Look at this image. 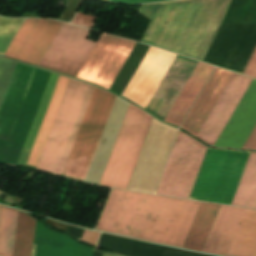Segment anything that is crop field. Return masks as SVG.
Listing matches in <instances>:
<instances>
[{
	"mask_svg": "<svg viewBox=\"0 0 256 256\" xmlns=\"http://www.w3.org/2000/svg\"><path fill=\"white\" fill-rule=\"evenodd\" d=\"M199 203L112 189L96 229L182 247Z\"/></svg>",
	"mask_w": 256,
	"mask_h": 256,
	"instance_id": "8a807250",
	"label": "crop field"
},
{
	"mask_svg": "<svg viewBox=\"0 0 256 256\" xmlns=\"http://www.w3.org/2000/svg\"><path fill=\"white\" fill-rule=\"evenodd\" d=\"M19 211L0 206V255L11 256ZM36 220L19 214L12 256H30ZM32 254L34 256H92L93 250L51 231L37 221Z\"/></svg>",
	"mask_w": 256,
	"mask_h": 256,
	"instance_id": "ac0d7876",
	"label": "crop field"
},
{
	"mask_svg": "<svg viewBox=\"0 0 256 256\" xmlns=\"http://www.w3.org/2000/svg\"><path fill=\"white\" fill-rule=\"evenodd\" d=\"M256 46V0H232L204 62L243 73Z\"/></svg>",
	"mask_w": 256,
	"mask_h": 256,
	"instance_id": "34b2d1b8",
	"label": "crop field"
},
{
	"mask_svg": "<svg viewBox=\"0 0 256 256\" xmlns=\"http://www.w3.org/2000/svg\"><path fill=\"white\" fill-rule=\"evenodd\" d=\"M93 88L69 80L36 169L62 174Z\"/></svg>",
	"mask_w": 256,
	"mask_h": 256,
	"instance_id": "412701ff",
	"label": "crop field"
},
{
	"mask_svg": "<svg viewBox=\"0 0 256 256\" xmlns=\"http://www.w3.org/2000/svg\"><path fill=\"white\" fill-rule=\"evenodd\" d=\"M249 154L207 149L188 198L230 205Z\"/></svg>",
	"mask_w": 256,
	"mask_h": 256,
	"instance_id": "f4fd0767",
	"label": "crop field"
},
{
	"mask_svg": "<svg viewBox=\"0 0 256 256\" xmlns=\"http://www.w3.org/2000/svg\"><path fill=\"white\" fill-rule=\"evenodd\" d=\"M152 119L129 105L99 184L127 188Z\"/></svg>",
	"mask_w": 256,
	"mask_h": 256,
	"instance_id": "dd49c442",
	"label": "crop field"
},
{
	"mask_svg": "<svg viewBox=\"0 0 256 256\" xmlns=\"http://www.w3.org/2000/svg\"><path fill=\"white\" fill-rule=\"evenodd\" d=\"M115 97L102 89L94 88L63 176L84 180Z\"/></svg>",
	"mask_w": 256,
	"mask_h": 256,
	"instance_id": "e52e79f7",
	"label": "crop field"
},
{
	"mask_svg": "<svg viewBox=\"0 0 256 256\" xmlns=\"http://www.w3.org/2000/svg\"><path fill=\"white\" fill-rule=\"evenodd\" d=\"M206 149L179 131L155 193L187 198Z\"/></svg>",
	"mask_w": 256,
	"mask_h": 256,
	"instance_id": "d8731c3e",
	"label": "crop field"
},
{
	"mask_svg": "<svg viewBox=\"0 0 256 256\" xmlns=\"http://www.w3.org/2000/svg\"><path fill=\"white\" fill-rule=\"evenodd\" d=\"M90 30L63 23L39 66L76 77L95 42L85 40Z\"/></svg>",
	"mask_w": 256,
	"mask_h": 256,
	"instance_id": "5a996713",
	"label": "crop field"
},
{
	"mask_svg": "<svg viewBox=\"0 0 256 256\" xmlns=\"http://www.w3.org/2000/svg\"><path fill=\"white\" fill-rule=\"evenodd\" d=\"M135 42L102 33L77 78L109 89Z\"/></svg>",
	"mask_w": 256,
	"mask_h": 256,
	"instance_id": "3316defc",
	"label": "crop field"
},
{
	"mask_svg": "<svg viewBox=\"0 0 256 256\" xmlns=\"http://www.w3.org/2000/svg\"><path fill=\"white\" fill-rule=\"evenodd\" d=\"M59 75L50 74L47 85L45 87L44 93L42 95L41 101L39 103L38 109L36 111L35 117L33 119L32 125L30 127L29 133L27 135L26 141L24 143L23 149L21 151L20 157L17 163L25 164L30 153L31 147L33 145L34 139L36 137L37 131L39 129L40 123L44 116L45 110L47 108L48 102L50 100L51 94L53 92L54 86L56 84ZM68 78L59 76L57 84L55 86L54 92L52 94L51 100L49 102L48 108L46 110L45 116L41 123L40 129L38 131L37 137L35 139L34 145L32 147L31 153L29 155L27 165L35 166L38 163L39 157L41 155L42 149L44 147L45 141L47 139L48 133L50 131L51 125L53 123L54 117L56 115L57 109L59 107L60 101L62 99L63 93L65 91L66 85L68 83Z\"/></svg>",
	"mask_w": 256,
	"mask_h": 256,
	"instance_id": "28ad6ade",
	"label": "crop field"
},
{
	"mask_svg": "<svg viewBox=\"0 0 256 256\" xmlns=\"http://www.w3.org/2000/svg\"><path fill=\"white\" fill-rule=\"evenodd\" d=\"M61 25L52 20L25 19L5 56L38 65Z\"/></svg>",
	"mask_w": 256,
	"mask_h": 256,
	"instance_id": "d1516ede",
	"label": "crop field"
},
{
	"mask_svg": "<svg viewBox=\"0 0 256 256\" xmlns=\"http://www.w3.org/2000/svg\"><path fill=\"white\" fill-rule=\"evenodd\" d=\"M250 81L233 73L196 137L213 146Z\"/></svg>",
	"mask_w": 256,
	"mask_h": 256,
	"instance_id": "22f410ed",
	"label": "crop field"
},
{
	"mask_svg": "<svg viewBox=\"0 0 256 256\" xmlns=\"http://www.w3.org/2000/svg\"><path fill=\"white\" fill-rule=\"evenodd\" d=\"M256 125V80L252 79L214 146L242 148Z\"/></svg>",
	"mask_w": 256,
	"mask_h": 256,
	"instance_id": "cbeb9de0",
	"label": "crop field"
},
{
	"mask_svg": "<svg viewBox=\"0 0 256 256\" xmlns=\"http://www.w3.org/2000/svg\"><path fill=\"white\" fill-rule=\"evenodd\" d=\"M231 75L232 72L215 68L181 128L196 136Z\"/></svg>",
	"mask_w": 256,
	"mask_h": 256,
	"instance_id": "5142ce71",
	"label": "crop field"
},
{
	"mask_svg": "<svg viewBox=\"0 0 256 256\" xmlns=\"http://www.w3.org/2000/svg\"><path fill=\"white\" fill-rule=\"evenodd\" d=\"M244 210L221 205L202 251L226 255Z\"/></svg>",
	"mask_w": 256,
	"mask_h": 256,
	"instance_id": "d9b57169",
	"label": "crop field"
},
{
	"mask_svg": "<svg viewBox=\"0 0 256 256\" xmlns=\"http://www.w3.org/2000/svg\"><path fill=\"white\" fill-rule=\"evenodd\" d=\"M131 256H206L102 233L98 247Z\"/></svg>",
	"mask_w": 256,
	"mask_h": 256,
	"instance_id": "733c2abd",
	"label": "crop field"
},
{
	"mask_svg": "<svg viewBox=\"0 0 256 256\" xmlns=\"http://www.w3.org/2000/svg\"><path fill=\"white\" fill-rule=\"evenodd\" d=\"M213 68V66L198 62L190 78L166 116L165 121L177 126L180 125Z\"/></svg>",
	"mask_w": 256,
	"mask_h": 256,
	"instance_id": "4a817a6b",
	"label": "crop field"
},
{
	"mask_svg": "<svg viewBox=\"0 0 256 256\" xmlns=\"http://www.w3.org/2000/svg\"><path fill=\"white\" fill-rule=\"evenodd\" d=\"M227 255L256 256V211L246 209Z\"/></svg>",
	"mask_w": 256,
	"mask_h": 256,
	"instance_id": "bc2a9ffb",
	"label": "crop field"
},
{
	"mask_svg": "<svg viewBox=\"0 0 256 256\" xmlns=\"http://www.w3.org/2000/svg\"><path fill=\"white\" fill-rule=\"evenodd\" d=\"M220 205L201 202L183 247L202 250Z\"/></svg>",
	"mask_w": 256,
	"mask_h": 256,
	"instance_id": "214f88e0",
	"label": "crop field"
},
{
	"mask_svg": "<svg viewBox=\"0 0 256 256\" xmlns=\"http://www.w3.org/2000/svg\"><path fill=\"white\" fill-rule=\"evenodd\" d=\"M231 205L256 209V153H251Z\"/></svg>",
	"mask_w": 256,
	"mask_h": 256,
	"instance_id": "92a150f3",
	"label": "crop field"
},
{
	"mask_svg": "<svg viewBox=\"0 0 256 256\" xmlns=\"http://www.w3.org/2000/svg\"><path fill=\"white\" fill-rule=\"evenodd\" d=\"M96 17L89 14L77 12L71 23L92 28Z\"/></svg>",
	"mask_w": 256,
	"mask_h": 256,
	"instance_id": "dafd665d",
	"label": "crop field"
},
{
	"mask_svg": "<svg viewBox=\"0 0 256 256\" xmlns=\"http://www.w3.org/2000/svg\"><path fill=\"white\" fill-rule=\"evenodd\" d=\"M243 74L256 78V48Z\"/></svg>",
	"mask_w": 256,
	"mask_h": 256,
	"instance_id": "00972430",
	"label": "crop field"
},
{
	"mask_svg": "<svg viewBox=\"0 0 256 256\" xmlns=\"http://www.w3.org/2000/svg\"><path fill=\"white\" fill-rule=\"evenodd\" d=\"M243 148L256 149V126L244 144Z\"/></svg>",
	"mask_w": 256,
	"mask_h": 256,
	"instance_id": "a9b5d70f",
	"label": "crop field"
},
{
	"mask_svg": "<svg viewBox=\"0 0 256 256\" xmlns=\"http://www.w3.org/2000/svg\"><path fill=\"white\" fill-rule=\"evenodd\" d=\"M83 229H80V228H76V227H73V226H68V229H67V233H69L70 235H72L74 238H76L77 240H81V237H82V234H83Z\"/></svg>",
	"mask_w": 256,
	"mask_h": 256,
	"instance_id": "4177f3b9",
	"label": "crop field"
},
{
	"mask_svg": "<svg viewBox=\"0 0 256 256\" xmlns=\"http://www.w3.org/2000/svg\"><path fill=\"white\" fill-rule=\"evenodd\" d=\"M108 1H114V2L125 3V4H132V3L159 1V0H108Z\"/></svg>",
	"mask_w": 256,
	"mask_h": 256,
	"instance_id": "730fd06b",
	"label": "crop field"
},
{
	"mask_svg": "<svg viewBox=\"0 0 256 256\" xmlns=\"http://www.w3.org/2000/svg\"><path fill=\"white\" fill-rule=\"evenodd\" d=\"M102 255L103 253L101 252H96V251L93 252V256H102Z\"/></svg>",
	"mask_w": 256,
	"mask_h": 256,
	"instance_id": "eef30255",
	"label": "crop field"
},
{
	"mask_svg": "<svg viewBox=\"0 0 256 256\" xmlns=\"http://www.w3.org/2000/svg\"><path fill=\"white\" fill-rule=\"evenodd\" d=\"M7 197V194H5V193H1V195H0V198H2V199H4L5 200V198Z\"/></svg>",
	"mask_w": 256,
	"mask_h": 256,
	"instance_id": "ae1a2a85",
	"label": "crop field"
}]
</instances>
